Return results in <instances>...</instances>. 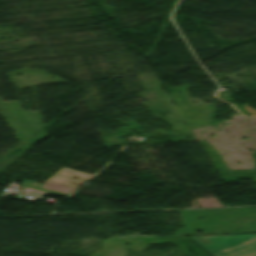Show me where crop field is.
I'll list each match as a JSON object with an SVG mask.
<instances>
[{
	"mask_svg": "<svg viewBox=\"0 0 256 256\" xmlns=\"http://www.w3.org/2000/svg\"><path fill=\"white\" fill-rule=\"evenodd\" d=\"M189 238L210 256H256V234Z\"/></svg>",
	"mask_w": 256,
	"mask_h": 256,
	"instance_id": "crop-field-1",
	"label": "crop field"
}]
</instances>
